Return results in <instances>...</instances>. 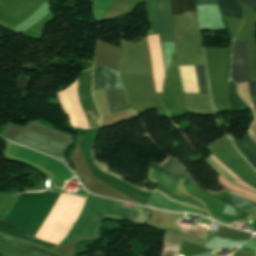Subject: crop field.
I'll return each instance as SVG.
<instances>
[{
  "label": "crop field",
  "mask_w": 256,
  "mask_h": 256,
  "mask_svg": "<svg viewBox=\"0 0 256 256\" xmlns=\"http://www.w3.org/2000/svg\"><path fill=\"white\" fill-rule=\"evenodd\" d=\"M123 205V202L103 199L88 194L80 217L65 243L79 238L98 235L100 221L105 217L124 218L143 223L149 216L148 208L135 205L133 209H130L123 207Z\"/></svg>",
  "instance_id": "obj_1"
},
{
  "label": "crop field",
  "mask_w": 256,
  "mask_h": 256,
  "mask_svg": "<svg viewBox=\"0 0 256 256\" xmlns=\"http://www.w3.org/2000/svg\"><path fill=\"white\" fill-rule=\"evenodd\" d=\"M92 71L93 70L82 72L81 76L77 80L79 98L84 108L86 118L90 128L99 126V121H100L99 112L97 111L94 105L92 95H91ZM75 83L76 81L72 85H74ZM72 85H70L66 90H68ZM77 87L75 84L73 87H71L70 90L66 91L65 93L67 95V98L69 100V103L71 105V108L73 110V113L75 115V118L79 126L88 127L84 111L82 109L81 103L78 98ZM64 91L57 93L60 99L61 106L69 118L70 125L75 128H79L71 112V109L68 104ZM81 129H87V128H81Z\"/></svg>",
  "instance_id": "obj_2"
},
{
  "label": "crop field",
  "mask_w": 256,
  "mask_h": 256,
  "mask_svg": "<svg viewBox=\"0 0 256 256\" xmlns=\"http://www.w3.org/2000/svg\"><path fill=\"white\" fill-rule=\"evenodd\" d=\"M8 140L55 156L69 166L66 159L61 156L73 140V136L68 133L32 123L24 128L15 126Z\"/></svg>",
  "instance_id": "obj_3"
},
{
  "label": "crop field",
  "mask_w": 256,
  "mask_h": 256,
  "mask_svg": "<svg viewBox=\"0 0 256 256\" xmlns=\"http://www.w3.org/2000/svg\"><path fill=\"white\" fill-rule=\"evenodd\" d=\"M5 154L46 169L60 184L64 180H68L74 176L57 160L10 142L8 143Z\"/></svg>",
  "instance_id": "obj_4"
},
{
  "label": "crop field",
  "mask_w": 256,
  "mask_h": 256,
  "mask_svg": "<svg viewBox=\"0 0 256 256\" xmlns=\"http://www.w3.org/2000/svg\"><path fill=\"white\" fill-rule=\"evenodd\" d=\"M103 66L94 70L93 80L94 87L93 89H114V88H123L121 85L120 78L118 73L104 67L103 77L105 82H103L102 77ZM106 98L108 106L111 112H117L124 109H128V106L125 101L124 91L123 89H115V90H106Z\"/></svg>",
  "instance_id": "obj_5"
},
{
  "label": "crop field",
  "mask_w": 256,
  "mask_h": 256,
  "mask_svg": "<svg viewBox=\"0 0 256 256\" xmlns=\"http://www.w3.org/2000/svg\"><path fill=\"white\" fill-rule=\"evenodd\" d=\"M146 4H147L148 15L151 21L152 33H171L169 0H148ZM158 38H159V43H160V48L162 53L161 41H172V34H158ZM162 59H163V55H162Z\"/></svg>",
  "instance_id": "obj_6"
},
{
  "label": "crop field",
  "mask_w": 256,
  "mask_h": 256,
  "mask_svg": "<svg viewBox=\"0 0 256 256\" xmlns=\"http://www.w3.org/2000/svg\"><path fill=\"white\" fill-rule=\"evenodd\" d=\"M231 79L236 83L248 81L256 107V79L251 80L249 76L246 41H234L232 47Z\"/></svg>",
  "instance_id": "obj_7"
},
{
  "label": "crop field",
  "mask_w": 256,
  "mask_h": 256,
  "mask_svg": "<svg viewBox=\"0 0 256 256\" xmlns=\"http://www.w3.org/2000/svg\"><path fill=\"white\" fill-rule=\"evenodd\" d=\"M0 240L29 249L31 251L46 255V256H62L60 254H57L55 252L4 236L0 234ZM0 241V255L1 256H43L31 251H28L26 249L5 243Z\"/></svg>",
  "instance_id": "obj_8"
},
{
  "label": "crop field",
  "mask_w": 256,
  "mask_h": 256,
  "mask_svg": "<svg viewBox=\"0 0 256 256\" xmlns=\"http://www.w3.org/2000/svg\"><path fill=\"white\" fill-rule=\"evenodd\" d=\"M148 205H151L153 207H156L158 209H165L169 211H174V212H189V213H194L196 212L197 208L189 207L186 205L178 204L175 202H172L165 198L163 195L158 194V193H152L148 203Z\"/></svg>",
  "instance_id": "obj_9"
},
{
  "label": "crop field",
  "mask_w": 256,
  "mask_h": 256,
  "mask_svg": "<svg viewBox=\"0 0 256 256\" xmlns=\"http://www.w3.org/2000/svg\"><path fill=\"white\" fill-rule=\"evenodd\" d=\"M238 151L256 169V143L247 135L241 141L235 143Z\"/></svg>",
  "instance_id": "obj_10"
},
{
  "label": "crop field",
  "mask_w": 256,
  "mask_h": 256,
  "mask_svg": "<svg viewBox=\"0 0 256 256\" xmlns=\"http://www.w3.org/2000/svg\"><path fill=\"white\" fill-rule=\"evenodd\" d=\"M221 14L242 19V9L236 0H218Z\"/></svg>",
  "instance_id": "obj_11"
},
{
  "label": "crop field",
  "mask_w": 256,
  "mask_h": 256,
  "mask_svg": "<svg viewBox=\"0 0 256 256\" xmlns=\"http://www.w3.org/2000/svg\"><path fill=\"white\" fill-rule=\"evenodd\" d=\"M172 15L195 13V0H171Z\"/></svg>",
  "instance_id": "obj_12"
},
{
  "label": "crop field",
  "mask_w": 256,
  "mask_h": 256,
  "mask_svg": "<svg viewBox=\"0 0 256 256\" xmlns=\"http://www.w3.org/2000/svg\"><path fill=\"white\" fill-rule=\"evenodd\" d=\"M233 205L256 218V203L245 198L230 194Z\"/></svg>",
  "instance_id": "obj_13"
},
{
  "label": "crop field",
  "mask_w": 256,
  "mask_h": 256,
  "mask_svg": "<svg viewBox=\"0 0 256 256\" xmlns=\"http://www.w3.org/2000/svg\"><path fill=\"white\" fill-rule=\"evenodd\" d=\"M169 158V157H168ZM167 158V159H168ZM166 162V161H165ZM164 162V163H165ZM163 164V163H162ZM161 165V164H160ZM162 166H164L165 168L171 170L173 173L181 176L182 178L186 179L187 181H189L190 183H193V180L189 177L188 173L183 169V167L177 162L175 161L173 158H169L168 161L163 164ZM170 171V172H171Z\"/></svg>",
  "instance_id": "obj_14"
},
{
  "label": "crop field",
  "mask_w": 256,
  "mask_h": 256,
  "mask_svg": "<svg viewBox=\"0 0 256 256\" xmlns=\"http://www.w3.org/2000/svg\"><path fill=\"white\" fill-rule=\"evenodd\" d=\"M156 190L161 191L162 193H164L165 195H167L168 197H170L171 199H173L175 201H179V202H182V203H185V204L197 207V208L204 209V207L201 203H199L195 200L189 199L187 197L180 196L181 194L178 195V194H176L170 190H167L161 186H159Z\"/></svg>",
  "instance_id": "obj_15"
},
{
  "label": "crop field",
  "mask_w": 256,
  "mask_h": 256,
  "mask_svg": "<svg viewBox=\"0 0 256 256\" xmlns=\"http://www.w3.org/2000/svg\"><path fill=\"white\" fill-rule=\"evenodd\" d=\"M180 243V240L165 235L163 250L170 256H178Z\"/></svg>",
  "instance_id": "obj_16"
},
{
  "label": "crop field",
  "mask_w": 256,
  "mask_h": 256,
  "mask_svg": "<svg viewBox=\"0 0 256 256\" xmlns=\"http://www.w3.org/2000/svg\"><path fill=\"white\" fill-rule=\"evenodd\" d=\"M219 181H220V183H221L224 187H226V188L230 187V188H232V189H234V190H236V191H238V192H241V193H243V194H245V195H248V196L253 197V198L256 199V196H255V195H253V194H251V193H248V192H246V191H244V190H242V189H240V188H237V187L232 186L233 184H235V185H237V186H239V187H241V188H243V189H246V190H248V191H250V192L256 194V192H255L256 189H254V188H252V187H250V186L244 184L241 180H239V181H237V182H239V183H241V184H243V185H245V186H247V187H249V188H251V189H253V190H255V191H253V190H251V189H249V188H246V187H244V186H242V185H240V184H238V183H236V182H233V184L230 185L231 183L229 184V183H228L225 179H223V178H222L223 183L226 184L228 187L225 186V185L222 183L221 178L219 179ZM230 188H228V189H230ZM232 189H230V190H232ZM234 190H232V191H234ZM236 191H234V192H236ZM238 192H236V193H238ZM238 194H240V193H238ZM243 194H240V195L245 196V195H243ZM248 196H245V197L250 198V197H248ZM250 199H252V198H250ZM255 199H252V200L256 201Z\"/></svg>",
  "instance_id": "obj_17"
},
{
  "label": "crop field",
  "mask_w": 256,
  "mask_h": 256,
  "mask_svg": "<svg viewBox=\"0 0 256 256\" xmlns=\"http://www.w3.org/2000/svg\"><path fill=\"white\" fill-rule=\"evenodd\" d=\"M199 93H209L207 90L206 74L204 66H195Z\"/></svg>",
  "instance_id": "obj_18"
},
{
  "label": "crop field",
  "mask_w": 256,
  "mask_h": 256,
  "mask_svg": "<svg viewBox=\"0 0 256 256\" xmlns=\"http://www.w3.org/2000/svg\"><path fill=\"white\" fill-rule=\"evenodd\" d=\"M207 162L211 164L217 171H219L230 182L238 180L230 171H228L221 163H219L214 157H210Z\"/></svg>",
  "instance_id": "obj_19"
},
{
  "label": "crop field",
  "mask_w": 256,
  "mask_h": 256,
  "mask_svg": "<svg viewBox=\"0 0 256 256\" xmlns=\"http://www.w3.org/2000/svg\"><path fill=\"white\" fill-rule=\"evenodd\" d=\"M94 1V15L96 20H100L103 12L112 0H91Z\"/></svg>",
  "instance_id": "obj_20"
},
{
  "label": "crop field",
  "mask_w": 256,
  "mask_h": 256,
  "mask_svg": "<svg viewBox=\"0 0 256 256\" xmlns=\"http://www.w3.org/2000/svg\"><path fill=\"white\" fill-rule=\"evenodd\" d=\"M151 168H153V169H155V170H157V171H159V172H161V173H163V174H165V175H167V176H169V177L175 179L176 181L179 180V177H177V176L171 174L170 172L164 170L163 168L159 167L158 165H156V164H154V163H152V162H151Z\"/></svg>",
  "instance_id": "obj_21"
},
{
  "label": "crop field",
  "mask_w": 256,
  "mask_h": 256,
  "mask_svg": "<svg viewBox=\"0 0 256 256\" xmlns=\"http://www.w3.org/2000/svg\"><path fill=\"white\" fill-rule=\"evenodd\" d=\"M216 4V0H197V5Z\"/></svg>",
  "instance_id": "obj_22"
},
{
  "label": "crop field",
  "mask_w": 256,
  "mask_h": 256,
  "mask_svg": "<svg viewBox=\"0 0 256 256\" xmlns=\"http://www.w3.org/2000/svg\"><path fill=\"white\" fill-rule=\"evenodd\" d=\"M244 4L249 5L250 7L254 8L256 4V0H238Z\"/></svg>",
  "instance_id": "obj_23"
}]
</instances>
